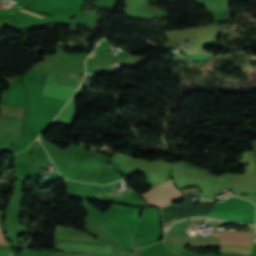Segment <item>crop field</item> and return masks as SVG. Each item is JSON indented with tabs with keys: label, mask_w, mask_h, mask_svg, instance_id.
<instances>
[{
	"label": "crop field",
	"mask_w": 256,
	"mask_h": 256,
	"mask_svg": "<svg viewBox=\"0 0 256 256\" xmlns=\"http://www.w3.org/2000/svg\"><path fill=\"white\" fill-rule=\"evenodd\" d=\"M22 11V10H21ZM25 12V11H24ZM28 13V12H27ZM39 16V15H38Z\"/></svg>",
	"instance_id": "6"
},
{
	"label": "crop field",
	"mask_w": 256,
	"mask_h": 256,
	"mask_svg": "<svg viewBox=\"0 0 256 256\" xmlns=\"http://www.w3.org/2000/svg\"><path fill=\"white\" fill-rule=\"evenodd\" d=\"M58 251H65L69 249L84 250V251H98V252H111L112 248L96 245L72 244L55 242Z\"/></svg>",
	"instance_id": "2"
},
{
	"label": "crop field",
	"mask_w": 256,
	"mask_h": 256,
	"mask_svg": "<svg viewBox=\"0 0 256 256\" xmlns=\"http://www.w3.org/2000/svg\"><path fill=\"white\" fill-rule=\"evenodd\" d=\"M0 245H6V243L3 239L2 233H1V229H0Z\"/></svg>",
	"instance_id": "4"
},
{
	"label": "crop field",
	"mask_w": 256,
	"mask_h": 256,
	"mask_svg": "<svg viewBox=\"0 0 256 256\" xmlns=\"http://www.w3.org/2000/svg\"><path fill=\"white\" fill-rule=\"evenodd\" d=\"M178 218L172 219L170 221H168L167 223H165V226H167L168 224L172 223L173 221L177 220Z\"/></svg>",
	"instance_id": "5"
},
{
	"label": "crop field",
	"mask_w": 256,
	"mask_h": 256,
	"mask_svg": "<svg viewBox=\"0 0 256 256\" xmlns=\"http://www.w3.org/2000/svg\"><path fill=\"white\" fill-rule=\"evenodd\" d=\"M223 243L249 244L250 233L218 232Z\"/></svg>",
	"instance_id": "3"
},
{
	"label": "crop field",
	"mask_w": 256,
	"mask_h": 256,
	"mask_svg": "<svg viewBox=\"0 0 256 256\" xmlns=\"http://www.w3.org/2000/svg\"><path fill=\"white\" fill-rule=\"evenodd\" d=\"M149 206L163 207L183 198L172 180L141 195Z\"/></svg>",
	"instance_id": "1"
}]
</instances>
